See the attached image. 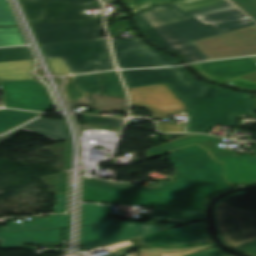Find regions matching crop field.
<instances>
[{
	"mask_svg": "<svg viewBox=\"0 0 256 256\" xmlns=\"http://www.w3.org/2000/svg\"><path fill=\"white\" fill-rule=\"evenodd\" d=\"M22 129L43 134L55 140H69L67 127L64 122L39 118L9 134L0 137V142L10 139Z\"/></svg>",
	"mask_w": 256,
	"mask_h": 256,
	"instance_id": "18",
	"label": "crop field"
},
{
	"mask_svg": "<svg viewBox=\"0 0 256 256\" xmlns=\"http://www.w3.org/2000/svg\"><path fill=\"white\" fill-rule=\"evenodd\" d=\"M0 86L5 107L44 112L53 106L47 88L36 80L1 82Z\"/></svg>",
	"mask_w": 256,
	"mask_h": 256,
	"instance_id": "7",
	"label": "crop field"
},
{
	"mask_svg": "<svg viewBox=\"0 0 256 256\" xmlns=\"http://www.w3.org/2000/svg\"><path fill=\"white\" fill-rule=\"evenodd\" d=\"M133 15L160 4L172 2L191 18L234 8L227 0H124Z\"/></svg>",
	"mask_w": 256,
	"mask_h": 256,
	"instance_id": "12",
	"label": "crop field"
},
{
	"mask_svg": "<svg viewBox=\"0 0 256 256\" xmlns=\"http://www.w3.org/2000/svg\"><path fill=\"white\" fill-rule=\"evenodd\" d=\"M186 256H227V255H224L216 248H211L202 252H197V253H193Z\"/></svg>",
	"mask_w": 256,
	"mask_h": 256,
	"instance_id": "42",
	"label": "crop field"
},
{
	"mask_svg": "<svg viewBox=\"0 0 256 256\" xmlns=\"http://www.w3.org/2000/svg\"><path fill=\"white\" fill-rule=\"evenodd\" d=\"M178 224L160 226L150 223H131L107 219L101 224L82 227L80 244L85 249L144 235Z\"/></svg>",
	"mask_w": 256,
	"mask_h": 256,
	"instance_id": "5",
	"label": "crop field"
},
{
	"mask_svg": "<svg viewBox=\"0 0 256 256\" xmlns=\"http://www.w3.org/2000/svg\"><path fill=\"white\" fill-rule=\"evenodd\" d=\"M139 238L142 245L150 247H190L210 244L203 223L165 229Z\"/></svg>",
	"mask_w": 256,
	"mask_h": 256,
	"instance_id": "11",
	"label": "crop field"
},
{
	"mask_svg": "<svg viewBox=\"0 0 256 256\" xmlns=\"http://www.w3.org/2000/svg\"><path fill=\"white\" fill-rule=\"evenodd\" d=\"M21 2L30 23L43 22L44 1L21 0ZM85 19H93V18H89V17L56 18V19H45V21L53 22V21H69V20H85Z\"/></svg>",
	"mask_w": 256,
	"mask_h": 256,
	"instance_id": "23",
	"label": "crop field"
},
{
	"mask_svg": "<svg viewBox=\"0 0 256 256\" xmlns=\"http://www.w3.org/2000/svg\"><path fill=\"white\" fill-rule=\"evenodd\" d=\"M47 58L63 56L70 73L98 71L95 54L98 41L42 46Z\"/></svg>",
	"mask_w": 256,
	"mask_h": 256,
	"instance_id": "10",
	"label": "crop field"
},
{
	"mask_svg": "<svg viewBox=\"0 0 256 256\" xmlns=\"http://www.w3.org/2000/svg\"><path fill=\"white\" fill-rule=\"evenodd\" d=\"M215 218L221 240L229 247L256 239V212L238 210L220 201L215 207Z\"/></svg>",
	"mask_w": 256,
	"mask_h": 256,
	"instance_id": "4",
	"label": "crop field"
},
{
	"mask_svg": "<svg viewBox=\"0 0 256 256\" xmlns=\"http://www.w3.org/2000/svg\"><path fill=\"white\" fill-rule=\"evenodd\" d=\"M34 61L0 62V82L34 78L31 74Z\"/></svg>",
	"mask_w": 256,
	"mask_h": 256,
	"instance_id": "21",
	"label": "crop field"
},
{
	"mask_svg": "<svg viewBox=\"0 0 256 256\" xmlns=\"http://www.w3.org/2000/svg\"><path fill=\"white\" fill-rule=\"evenodd\" d=\"M119 68L173 66L175 59L143 44L139 39L112 40Z\"/></svg>",
	"mask_w": 256,
	"mask_h": 256,
	"instance_id": "8",
	"label": "crop field"
},
{
	"mask_svg": "<svg viewBox=\"0 0 256 256\" xmlns=\"http://www.w3.org/2000/svg\"><path fill=\"white\" fill-rule=\"evenodd\" d=\"M203 78L225 82L256 71V59L245 57L233 60L210 61L192 65Z\"/></svg>",
	"mask_w": 256,
	"mask_h": 256,
	"instance_id": "13",
	"label": "crop field"
},
{
	"mask_svg": "<svg viewBox=\"0 0 256 256\" xmlns=\"http://www.w3.org/2000/svg\"><path fill=\"white\" fill-rule=\"evenodd\" d=\"M38 115H40V113H32L10 109L0 110V134Z\"/></svg>",
	"mask_w": 256,
	"mask_h": 256,
	"instance_id": "22",
	"label": "crop field"
},
{
	"mask_svg": "<svg viewBox=\"0 0 256 256\" xmlns=\"http://www.w3.org/2000/svg\"><path fill=\"white\" fill-rule=\"evenodd\" d=\"M224 179L230 185L256 182V156L223 158Z\"/></svg>",
	"mask_w": 256,
	"mask_h": 256,
	"instance_id": "15",
	"label": "crop field"
},
{
	"mask_svg": "<svg viewBox=\"0 0 256 256\" xmlns=\"http://www.w3.org/2000/svg\"><path fill=\"white\" fill-rule=\"evenodd\" d=\"M139 28L144 30L184 19H189L186 14L172 3L157 6L144 11L134 17Z\"/></svg>",
	"mask_w": 256,
	"mask_h": 256,
	"instance_id": "16",
	"label": "crop field"
},
{
	"mask_svg": "<svg viewBox=\"0 0 256 256\" xmlns=\"http://www.w3.org/2000/svg\"><path fill=\"white\" fill-rule=\"evenodd\" d=\"M102 85L104 94L126 98L122 83L116 71L102 73Z\"/></svg>",
	"mask_w": 256,
	"mask_h": 256,
	"instance_id": "26",
	"label": "crop field"
},
{
	"mask_svg": "<svg viewBox=\"0 0 256 256\" xmlns=\"http://www.w3.org/2000/svg\"><path fill=\"white\" fill-rule=\"evenodd\" d=\"M111 209L112 207L110 206L83 204L82 226L100 223ZM103 211H108V213H104Z\"/></svg>",
	"mask_w": 256,
	"mask_h": 256,
	"instance_id": "27",
	"label": "crop field"
},
{
	"mask_svg": "<svg viewBox=\"0 0 256 256\" xmlns=\"http://www.w3.org/2000/svg\"><path fill=\"white\" fill-rule=\"evenodd\" d=\"M90 96L91 105L89 108L91 109L126 112L127 102L124 98L93 94H90Z\"/></svg>",
	"mask_w": 256,
	"mask_h": 256,
	"instance_id": "25",
	"label": "crop field"
},
{
	"mask_svg": "<svg viewBox=\"0 0 256 256\" xmlns=\"http://www.w3.org/2000/svg\"><path fill=\"white\" fill-rule=\"evenodd\" d=\"M250 255L256 256V240L233 247Z\"/></svg>",
	"mask_w": 256,
	"mask_h": 256,
	"instance_id": "40",
	"label": "crop field"
},
{
	"mask_svg": "<svg viewBox=\"0 0 256 256\" xmlns=\"http://www.w3.org/2000/svg\"><path fill=\"white\" fill-rule=\"evenodd\" d=\"M66 205V194H56V204L54 211L57 213H63Z\"/></svg>",
	"mask_w": 256,
	"mask_h": 256,
	"instance_id": "41",
	"label": "crop field"
},
{
	"mask_svg": "<svg viewBox=\"0 0 256 256\" xmlns=\"http://www.w3.org/2000/svg\"><path fill=\"white\" fill-rule=\"evenodd\" d=\"M225 83L241 88L256 89V72Z\"/></svg>",
	"mask_w": 256,
	"mask_h": 256,
	"instance_id": "34",
	"label": "crop field"
},
{
	"mask_svg": "<svg viewBox=\"0 0 256 256\" xmlns=\"http://www.w3.org/2000/svg\"><path fill=\"white\" fill-rule=\"evenodd\" d=\"M243 16L246 15L243 12H241L238 8H234L218 13L197 17V19L201 20L206 24L212 23L219 30L225 33L247 26L255 25V23L251 21L249 18H241Z\"/></svg>",
	"mask_w": 256,
	"mask_h": 256,
	"instance_id": "17",
	"label": "crop field"
},
{
	"mask_svg": "<svg viewBox=\"0 0 256 256\" xmlns=\"http://www.w3.org/2000/svg\"><path fill=\"white\" fill-rule=\"evenodd\" d=\"M73 79L76 82L81 92H86V93L100 92L99 73L74 76Z\"/></svg>",
	"mask_w": 256,
	"mask_h": 256,
	"instance_id": "30",
	"label": "crop field"
},
{
	"mask_svg": "<svg viewBox=\"0 0 256 256\" xmlns=\"http://www.w3.org/2000/svg\"><path fill=\"white\" fill-rule=\"evenodd\" d=\"M151 216L166 218L168 222L185 223L204 218V212L155 208Z\"/></svg>",
	"mask_w": 256,
	"mask_h": 256,
	"instance_id": "24",
	"label": "crop field"
},
{
	"mask_svg": "<svg viewBox=\"0 0 256 256\" xmlns=\"http://www.w3.org/2000/svg\"><path fill=\"white\" fill-rule=\"evenodd\" d=\"M68 82L64 87L65 94L69 100V102H72L79 97L85 95V93H81L76 86L75 82L73 81L72 77H67Z\"/></svg>",
	"mask_w": 256,
	"mask_h": 256,
	"instance_id": "35",
	"label": "crop field"
},
{
	"mask_svg": "<svg viewBox=\"0 0 256 256\" xmlns=\"http://www.w3.org/2000/svg\"><path fill=\"white\" fill-rule=\"evenodd\" d=\"M101 7L100 2H90L89 5L47 1L46 18L76 17L85 15L84 10Z\"/></svg>",
	"mask_w": 256,
	"mask_h": 256,
	"instance_id": "20",
	"label": "crop field"
},
{
	"mask_svg": "<svg viewBox=\"0 0 256 256\" xmlns=\"http://www.w3.org/2000/svg\"><path fill=\"white\" fill-rule=\"evenodd\" d=\"M52 1H62V2H73V3L88 4L89 1H98V0H52Z\"/></svg>",
	"mask_w": 256,
	"mask_h": 256,
	"instance_id": "43",
	"label": "crop field"
},
{
	"mask_svg": "<svg viewBox=\"0 0 256 256\" xmlns=\"http://www.w3.org/2000/svg\"><path fill=\"white\" fill-rule=\"evenodd\" d=\"M25 41L17 26L0 27V46L24 45Z\"/></svg>",
	"mask_w": 256,
	"mask_h": 256,
	"instance_id": "29",
	"label": "crop field"
},
{
	"mask_svg": "<svg viewBox=\"0 0 256 256\" xmlns=\"http://www.w3.org/2000/svg\"><path fill=\"white\" fill-rule=\"evenodd\" d=\"M126 253H127V251L121 252V253H117V254H113V255H109V256H121V255L126 254Z\"/></svg>",
	"mask_w": 256,
	"mask_h": 256,
	"instance_id": "45",
	"label": "crop field"
},
{
	"mask_svg": "<svg viewBox=\"0 0 256 256\" xmlns=\"http://www.w3.org/2000/svg\"><path fill=\"white\" fill-rule=\"evenodd\" d=\"M98 66L100 70L115 69L113 61L110 57L108 41H100V49L98 52Z\"/></svg>",
	"mask_w": 256,
	"mask_h": 256,
	"instance_id": "32",
	"label": "crop field"
},
{
	"mask_svg": "<svg viewBox=\"0 0 256 256\" xmlns=\"http://www.w3.org/2000/svg\"><path fill=\"white\" fill-rule=\"evenodd\" d=\"M159 47L187 62L256 55V25L223 34L193 18L144 31Z\"/></svg>",
	"mask_w": 256,
	"mask_h": 256,
	"instance_id": "3",
	"label": "crop field"
},
{
	"mask_svg": "<svg viewBox=\"0 0 256 256\" xmlns=\"http://www.w3.org/2000/svg\"><path fill=\"white\" fill-rule=\"evenodd\" d=\"M65 242H68V230L64 229ZM62 242L61 229L26 230L0 233V248H18L22 244Z\"/></svg>",
	"mask_w": 256,
	"mask_h": 256,
	"instance_id": "14",
	"label": "crop field"
},
{
	"mask_svg": "<svg viewBox=\"0 0 256 256\" xmlns=\"http://www.w3.org/2000/svg\"><path fill=\"white\" fill-rule=\"evenodd\" d=\"M31 26L41 45L97 40L103 31L101 19L42 23Z\"/></svg>",
	"mask_w": 256,
	"mask_h": 256,
	"instance_id": "6",
	"label": "crop field"
},
{
	"mask_svg": "<svg viewBox=\"0 0 256 256\" xmlns=\"http://www.w3.org/2000/svg\"><path fill=\"white\" fill-rule=\"evenodd\" d=\"M235 206L256 211V190L238 192L223 198Z\"/></svg>",
	"mask_w": 256,
	"mask_h": 256,
	"instance_id": "28",
	"label": "crop field"
},
{
	"mask_svg": "<svg viewBox=\"0 0 256 256\" xmlns=\"http://www.w3.org/2000/svg\"><path fill=\"white\" fill-rule=\"evenodd\" d=\"M61 227H68V215H47V218H35L34 223H15V221H11L7 222V226L0 227V232L25 229H52Z\"/></svg>",
	"mask_w": 256,
	"mask_h": 256,
	"instance_id": "19",
	"label": "crop field"
},
{
	"mask_svg": "<svg viewBox=\"0 0 256 256\" xmlns=\"http://www.w3.org/2000/svg\"><path fill=\"white\" fill-rule=\"evenodd\" d=\"M128 91L131 106H145L154 119L171 118L170 114L186 110L185 104L164 84L130 88Z\"/></svg>",
	"mask_w": 256,
	"mask_h": 256,
	"instance_id": "9",
	"label": "crop field"
},
{
	"mask_svg": "<svg viewBox=\"0 0 256 256\" xmlns=\"http://www.w3.org/2000/svg\"><path fill=\"white\" fill-rule=\"evenodd\" d=\"M169 161L175 166L176 182L141 186L84 177L83 200L203 211L208 194L229 187L222 163L197 145L173 151Z\"/></svg>",
	"mask_w": 256,
	"mask_h": 256,
	"instance_id": "1",
	"label": "crop field"
},
{
	"mask_svg": "<svg viewBox=\"0 0 256 256\" xmlns=\"http://www.w3.org/2000/svg\"><path fill=\"white\" fill-rule=\"evenodd\" d=\"M54 74H68L66 65L59 57L47 59Z\"/></svg>",
	"mask_w": 256,
	"mask_h": 256,
	"instance_id": "37",
	"label": "crop field"
},
{
	"mask_svg": "<svg viewBox=\"0 0 256 256\" xmlns=\"http://www.w3.org/2000/svg\"><path fill=\"white\" fill-rule=\"evenodd\" d=\"M210 140H214V138L208 137V136H202V137L174 143L173 145L176 146L178 149H180V148H184L187 146L195 145V144L210 141Z\"/></svg>",
	"mask_w": 256,
	"mask_h": 256,
	"instance_id": "38",
	"label": "crop field"
},
{
	"mask_svg": "<svg viewBox=\"0 0 256 256\" xmlns=\"http://www.w3.org/2000/svg\"><path fill=\"white\" fill-rule=\"evenodd\" d=\"M88 104H90V97L89 96L73 103V105H88Z\"/></svg>",
	"mask_w": 256,
	"mask_h": 256,
	"instance_id": "44",
	"label": "crop field"
},
{
	"mask_svg": "<svg viewBox=\"0 0 256 256\" xmlns=\"http://www.w3.org/2000/svg\"><path fill=\"white\" fill-rule=\"evenodd\" d=\"M127 88L164 83L186 104L187 132L207 133L215 124L236 127L235 115L253 113L251 95L199 83L182 68L120 71Z\"/></svg>",
	"mask_w": 256,
	"mask_h": 256,
	"instance_id": "2",
	"label": "crop field"
},
{
	"mask_svg": "<svg viewBox=\"0 0 256 256\" xmlns=\"http://www.w3.org/2000/svg\"><path fill=\"white\" fill-rule=\"evenodd\" d=\"M161 132H184L185 125H172V123H157Z\"/></svg>",
	"mask_w": 256,
	"mask_h": 256,
	"instance_id": "39",
	"label": "crop field"
},
{
	"mask_svg": "<svg viewBox=\"0 0 256 256\" xmlns=\"http://www.w3.org/2000/svg\"><path fill=\"white\" fill-rule=\"evenodd\" d=\"M17 25L6 0H0V26Z\"/></svg>",
	"mask_w": 256,
	"mask_h": 256,
	"instance_id": "33",
	"label": "crop field"
},
{
	"mask_svg": "<svg viewBox=\"0 0 256 256\" xmlns=\"http://www.w3.org/2000/svg\"><path fill=\"white\" fill-rule=\"evenodd\" d=\"M256 21V0H231Z\"/></svg>",
	"mask_w": 256,
	"mask_h": 256,
	"instance_id": "36",
	"label": "crop field"
},
{
	"mask_svg": "<svg viewBox=\"0 0 256 256\" xmlns=\"http://www.w3.org/2000/svg\"><path fill=\"white\" fill-rule=\"evenodd\" d=\"M33 59L27 47L0 49V61Z\"/></svg>",
	"mask_w": 256,
	"mask_h": 256,
	"instance_id": "31",
	"label": "crop field"
}]
</instances>
